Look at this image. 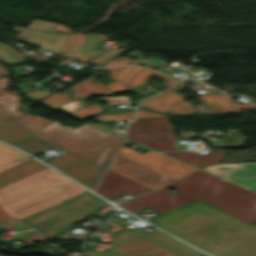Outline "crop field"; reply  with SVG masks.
I'll use <instances>...</instances> for the list:
<instances>
[{"instance_id": "obj_31", "label": "crop field", "mask_w": 256, "mask_h": 256, "mask_svg": "<svg viewBox=\"0 0 256 256\" xmlns=\"http://www.w3.org/2000/svg\"><path fill=\"white\" fill-rule=\"evenodd\" d=\"M194 87L197 88V89H204V87H202L200 84H198V85H196Z\"/></svg>"}, {"instance_id": "obj_33", "label": "crop field", "mask_w": 256, "mask_h": 256, "mask_svg": "<svg viewBox=\"0 0 256 256\" xmlns=\"http://www.w3.org/2000/svg\"><path fill=\"white\" fill-rule=\"evenodd\" d=\"M254 209H256V207H253Z\"/></svg>"}, {"instance_id": "obj_24", "label": "crop field", "mask_w": 256, "mask_h": 256, "mask_svg": "<svg viewBox=\"0 0 256 256\" xmlns=\"http://www.w3.org/2000/svg\"><path fill=\"white\" fill-rule=\"evenodd\" d=\"M123 118H134V114L100 115L94 118V120H109V119H123Z\"/></svg>"}, {"instance_id": "obj_23", "label": "crop field", "mask_w": 256, "mask_h": 256, "mask_svg": "<svg viewBox=\"0 0 256 256\" xmlns=\"http://www.w3.org/2000/svg\"><path fill=\"white\" fill-rule=\"evenodd\" d=\"M168 111L172 114H179V113H187L195 110L190 106V104L181 101Z\"/></svg>"}, {"instance_id": "obj_10", "label": "crop field", "mask_w": 256, "mask_h": 256, "mask_svg": "<svg viewBox=\"0 0 256 256\" xmlns=\"http://www.w3.org/2000/svg\"><path fill=\"white\" fill-rule=\"evenodd\" d=\"M120 155L127 157L131 160H134L138 163H141L145 166H148L152 169H155L163 174H166L174 179L194 170V168L189 167L185 164L177 162L173 159L165 157L163 155H156L152 158L144 156L138 152L130 150L124 147L122 150L119 151Z\"/></svg>"}, {"instance_id": "obj_26", "label": "crop field", "mask_w": 256, "mask_h": 256, "mask_svg": "<svg viewBox=\"0 0 256 256\" xmlns=\"http://www.w3.org/2000/svg\"><path fill=\"white\" fill-rule=\"evenodd\" d=\"M153 116H168V115H160L158 113H153L148 110L138 109V117H153Z\"/></svg>"}, {"instance_id": "obj_17", "label": "crop field", "mask_w": 256, "mask_h": 256, "mask_svg": "<svg viewBox=\"0 0 256 256\" xmlns=\"http://www.w3.org/2000/svg\"><path fill=\"white\" fill-rule=\"evenodd\" d=\"M44 168L47 167L33 159L13 166L5 171L0 172V188L8 183L14 182L22 177H25Z\"/></svg>"}, {"instance_id": "obj_6", "label": "crop field", "mask_w": 256, "mask_h": 256, "mask_svg": "<svg viewBox=\"0 0 256 256\" xmlns=\"http://www.w3.org/2000/svg\"><path fill=\"white\" fill-rule=\"evenodd\" d=\"M101 230L117 235L112 244L120 255L116 251L105 253L85 250L88 256H175L124 228L118 234L104 227Z\"/></svg>"}, {"instance_id": "obj_9", "label": "crop field", "mask_w": 256, "mask_h": 256, "mask_svg": "<svg viewBox=\"0 0 256 256\" xmlns=\"http://www.w3.org/2000/svg\"><path fill=\"white\" fill-rule=\"evenodd\" d=\"M105 69H108L112 73L110 78L114 81L107 82V87L112 93L125 91L140 84H145L147 76L153 73L149 69L135 66H116ZM161 76L166 78L167 81L164 84L168 86L180 80L164 75Z\"/></svg>"}, {"instance_id": "obj_15", "label": "crop field", "mask_w": 256, "mask_h": 256, "mask_svg": "<svg viewBox=\"0 0 256 256\" xmlns=\"http://www.w3.org/2000/svg\"><path fill=\"white\" fill-rule=\"evenodd\" d=\"M165 154L178 158L198 168L219 163L226 156L225 154L216 150H210L204 155L196 152H189V151L168 152Z\"/></svg>"}, {"instance_id": "obj_2", "label": "crop field", "mask_w": 256, "mask_h": 256, "mask_svg": "<svg viewBox=\"0 0 256 256\" xmlns=\"http://www.w3.org/2000/svg\"><path fill=\"white\" fill-rule=\"evenodd\" d=\"M4 74L8 72L0 66V120L107 168L123 139L87 124L66 127L57 120L51 122L29 114L16 92L5 91L9 78L4 79Z\"/></svg>"}, {"instance_id": "obj_11", "label": "crop field", "mask_w": 256, "mask_h": 256, "mask_svg": "<svg viewBox=\"0 0 256 256\" xmlns=\"http://www.w3.org/2000/svg\"><path fill=\"white\" fill-rule=\"evenodd\" d=\"M110 220L123 226L124 228L132 231L133 233L143 237L144 239L172 252L173 254H175L177 256H201V255H203L202 253L196 251L195 249L185 245L184 243L176 240L175 238H173L157 229L146 233L136 227L129 228L128 225H126L120 221V220H122V218L111 217Z\"/></svg>"}, {"instance_id": "obj_29", "label": "crop field", "mask_w": 256, "mask_h": 256, "mask_svg": "<svg viewBox=\"0 0 256 256\" xmlns=\"http://www.w3.org/2000/svg\"><path fill=\"white\" fill-rule=\"evenodd\" d=\"M7 220H15L7 215H5L2 210L0 209V222L7 221Z\"/></svg>"}, {"instance_id": "obj_4", "label": "crop field", "mask_w": 256, "mask_h": 256, "mask_svg": "<svg viewBox=\"0 0 256 256\" xmlns=\"http://www.w3.org/2000/svg\"><path fill=\"white\" fill-rule=\"evenodd\" d=\"M28 159L21 152L0 144V171ZM84 191L47 168L1 188L0 208L4 213L20 219Z\"/></svg>"}, {"instance_id": "obj_16", "label": "crop field", "mask_w": 256, "mask_h": 256, "mask_svg": "<svg viewBox=\"0 0 256 256\" xmlns=\"http://www.w3.org/2000/svg\"><path fill=\"white\" fill-rule=\"evenodd\" d=\"M183 82L184 81L180 82L179 84L175 85L173 88L164 92L161 95L144 100L140 106L164 113L165 111L170 109L172 106H174L178 101L185 98V96L175 93L176 91L184 87L182 84ZM161 103H165V104L159 105Z\"/></svg>"}, {"instance_id": "obj_25", "label": "crop field", "mask_w": 256, "mask_h": 256, "mask_svg": "<svg viewBox=\"0 0 256 256\" xmlns=\"http://www.w3.org/2000/svg\"><path fill=\"white\" fill-rule=\"evenodd\" d=\"M131 61H132V59H129V58H115V59L107 62L106 64H104L102 67L109 66V65L128 64Z\"/></svg>"}, {"instance_id": "obj_30", "label": "crop field", "mask_w": 256, "mask_h": 256, "mask_svg": "<svg viewBox=\"0 0 256 256\" xmlns=\"http://www.w3.org/2000/svg\"><path fill=\"white\" fill-rule=\"evenodd\" d=\"M155 154H157V153H154V152L149 151V152H147L145 155L151 157V156H153V155H155Z\"/></svg>"}, {"instance_id": "obj_13", "label": "crop field", "mask_w": 256, "mask_h": 256, "mask_svg": "<svg viewBox=\"0 0 256 256\" xmlns=\"http://www.w3.org/2000/svg\"><path fill=\"white\" fill-rule=\"evenodd\" d=\"M0 140L10 143L32 155L47 147H56L2 121H0Z\"/></svg>"}, {"instance_id": "obj_19", "label": "crop field", "mask_w": 256, "mask_h": 256, "mask_svg": "<svg viewBox=\"0 0 256 256\" xmlns=\"http://www.w3.org/2000/svg\"><path fill=\"white\" fill-rule=\"evenodd\" d=\"M174 131L168 117L137 118L127 127V132Z\"/></svg>"}, {"instance_id": "obj_3", "label": "crop field", "mask_w": 256, "mask_h": 256, "mask_svg": "<svg viewBox=\"0 0 256 256\" xmlns=\"http://www.w3.org/2000/svg\"><path fill=\"white\" fill-rule=\"evenodd\" d=\"M168 187L176 189L181 194L177 196L170 194L172 191L166 189ZM199 199H203L250 224L256 222V210L251 208L256 205V194L200 170L118 206L132 213L145 207L163 213Z\"/></svg>"}, {"instance_id": "obj_12", "label": "crop field", "mask_w": 256, "mask_h": 256, "mask_svg": "<svg viewBox=\"0 0 256 256\" xmlns=\"http://www.w3.org/2000/svg\"><path fill=\"white\" fill-rule=\"evenodd\" d=\"M149 190L152 189L108 170L95 192L109 198L121 193L135 196Z\"/></svg>"}, {"instance_id": "obj_20", "label": "crop field", "mask_w": 256, "mask_h": 256, "mask_svg": "<svg viewBox=\"0 0 256 256\" xmlns=\"http://www.w3.org/2000/svg\"><path fill=\"white\" fill-rule=\"evenodd\" d=\"M85 86L74 87L76 95L84 97L87 95L97 94V93H111L108 88L101 82L94 84L90 79L83 82Z\"/></svg>"}, {"instance_id": "obj_28", "label": "crop field", "mask_w": 256, "mask_h": 256, "mask_svg": "<svg viewBox=\"0 0 256 256\" xmlns=\"http://www.w3.org/2000/svg\"><path fill=\"white\" fill-rule=\"evenodd\" d=\"M17 224H19V222H17V221L10 222V223H5V224H0V228L5 230V229H7L9 227H12L14 225H17Z\"/></svg>"}, {"instance_id": "obj_7", "label": "crop field", "mask_w": 256, "mask_h": 256, "mask_svg": "<svg viewBox=\"0 0 256 256\" xmlns=\"http://www.w3.org/2000/svg\"><path fill=\"white\" fill-rule=\"evenodd\" d=\"M55 168L93 189L105 168L95 165L79 156L66 152L48 162Z\"/></svg>"}, {"instance_id": "obj_27", "label": "crop field", "mask_w": 256, "mask_h": 256, "mask_svg": "<svg viewBox=\"0 0 256 256\" xmlns=\"http://www.w3.org/2000/svg\"><path fill=\"white\" fill-rule=\"evenodd\" d=\"M44 240V238H42L39 234H37L36 232H34L30 237L25 238V239H21V241L26 242V243H31L34 241H41Z\"/></svg>"}, {"instance_id": "obj_21", "label": "crop field", "mask_w": 256, "mask_h": 256, "mask_svg": "<svg viewBox=\"0 0 256 256\" xmlns=\"http://www.w3.org/2000/svg\"><path fill=\"white\" fill-rule=\"evenodd\" d=\"M67 92V91H66ZM63 93H54L53 95H51L49 98H47L46 100L40 102L39 104L44 105L52 110L72 101L68 95Z\"/></svg>"}, {"instance_id": "obj_14", "label": "crop field", "mask_w": 256, "mask_h": 256, "mask_svg": "<svg viewBox=\"0 0 256 256\" xmlns=\"http://www.w3.org/2000/svg\"><path fill=\"white\" fill-rule=\"evenodd\" d=\"M200 101L203 105L196 107L202 113L256 110L249 103L232 106L229 103L231 98L223 93L214 95L201 94Z\"/></svg>"}, {"instance_id": "obj_22", "label": "crop field", "mask_w": 256, "mask_h": 256, "mask_svg": "<svg viewBox=\"0 0 256 256\" xmlns=\"http://www.w3.org/2000/svg\"><path fill=\"white\" fill-rule=\"evenodd\" d=\"M98 111H102V109L99 105L91 106V107L83 108V109H79V110H73L71 112L74 114L75 118L82 120L87 115L94 113V112H98Z\"/></svg>"}, {"instance_id": "obj_1", "label": "crop field", "mask_w": 256, "mask_h": 256, "mask_svg": "<svg viewBox=\"0 0 256 256\" xmlns=\"http://www.w3.org/2000/svg\"><path fill=\"white\" fill-rule=\"evenodd\" d=\"M148 221L214 256H256V225H249L203 200Z\"/></svg>"}, {"instance_id": "obj_8", "label": "crop field", "mask_w": 256, "mask_h": 256, "mask_svg": "<svg viewBox=\"0 0 256 256\" xmlns=\"http://www.w3.org/2000/svg\"><path fill=\"white\" fill-rule=\"evenodd\" d=\"M109 169L152 189L158 188L174 180L120 155H117Z\"/></svg>"}, {"instance_id": "obj_18", "label": "crop field", "mask_w": 256, "mask_h": 256, "mask_svg": "<svg viewBox=\"0 0 256 256\" xmlns=\"http://www.w3.org/2000/svg\"><path fill=\"white\" fill-rule=\"evenodd\" d=\"M128 138L157 151L179 150L176 138L159 139L156 132L128 133Z\"/></svg>"}, {"instance_id": "obj_5", "label": "crop field", "mask_w": 256, "mask_h": 256, "mask_svg": "<svg viewBox=\"0 0 256 256\" xmlns=\"http://www.w3.org/2000/svg\"><path fill=\"white\" fill-rule=\"evenodd\" d=\"M105 204L107 203L87 191L20 221L35 228L45 237H53L75 222L86 219Z\"/></svg>"}, {"instance_id": "obj_32", "label": "crop field", "mask_w": 256, "mask_h": 256, "mask_svg": "<svg viewBox=\"0 0 256 256\" xmlns=\"http://www.w3.org/2000/svg\"><path fill=\"white\" fill-rule=\"evenodd\" d=\"M83 84L81 83V84H79L78 86H82Z\"/></svg>"}]
</instances>
